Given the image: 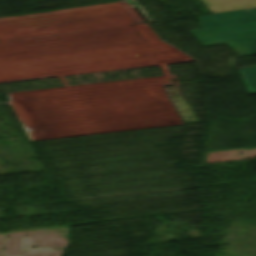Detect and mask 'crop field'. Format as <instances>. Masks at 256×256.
I'll return each mask as SVG.
<instances>
[{"mask_svg": "<svg viewBox=\"0 0 256 256\" xmlns=\"http://www.w3.org/2000/svg\"><path fill=\"white\" fill-rule=\"evenodd\" d=\"M198 19L203 30L191 33L203 46L226 43L240 56L256 54V10L200 16Z\"/></svg>", "mask_w": 256, "mask_h": 256, "instance_id": "1", "label": "crop field"}, {"mask_svg": "<svg viewBox=\"0 0 256 256\" xmlns=\"http://www.w3.org/2000/svg\"><path fill=\"white\" fill-rule=\"evenodd\" d=\"M237 69L248 93H256V66Z\"/></svg>", "mask_w": 256, "mask_h": 256, "instance_id": "2", "label": "crop field"}, {"mask_svg": "<svg viewBox=\"0 0 256 256\" xmlns=\"http://www.w3.org/2000/svg\"><path fill=\"white\" fill-rule=\"evenodd\" d=\"M224 10L235 11L256 7V0H215Z\"/></svg>", "mask_w": 256, "mask_h": 256, "instance_id": "3", "label": "crop field"}, {"mask_svg": "<svg viewBox=\"0 0 256 256\" xmlns=\"http://www.w3.org/2000/svg\"><path fill=\"white\" fill-rule=\"evenodd\" d=\"M212 14L227 12L224 11L214 0H201Z\"/></svg>", "mask_w": 256, "mask_h": 256, "instance_id": "4", "label": "crop field"}]
</instances>
